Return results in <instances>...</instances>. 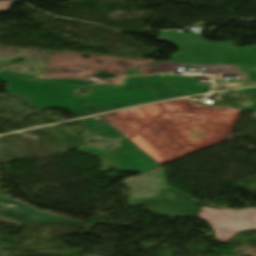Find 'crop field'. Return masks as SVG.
<instances>
[{
	"label": "crop field",
	"instance_id": "obj_1",
	"mask_svg": "<svg viewBox=\"0 0 256 256\" xmlns=\"http://www.w3.org/2000/svg\"><path fill=\"white\" fill-rule=\"evenodd\" d=\"M0 79L9 84L6 91L27 96L35 110L66 107L77 117L156 100L150 89L123 93L96 90L89 97H81L76 95L81 89L77 87L31 82L2 73Z\"/></svg>",
	"mask_w": 256,
	"mask_h": 256
},
{
	"label": "crop field",
	"instance_id": "obj_14",
	"mask_svg": "<svg viewBox=\"0 0 256 256\" xmlns=\"http://www.w3.org/2000/svg\"><path fill=\"white\" fill-rule=\"evenodd\" d=\"M248 92H256V88L240 90V93H242V94H245V93H248ZM250 100L253 103V105L251 107H249V108H246V109H244L242 111H239V113L249 112V111H256V99L250 97Z\"/></svg>",
	"mask_w": 256,
	"mask_h": 256
},
{
	"label": "crop field",
	"instance_id": "obj_9",
	"mask_svg": "<svg viewBox=\"0 0 256 256\" xmlns=\"http://www.w3.org/2000/svg\"><path fill=\"white\" fill-rule=\"evenodd\" d=\"M3 73H7L10 75H14L21 78H26L34 81H41V82H50V83H60V84H68L74 86H81V87H88L94 89H102V90H109V91H122V90H131V89H140V88H147L146 84L142 80V78L134 79L128 86L122 88H114L106 83L102 84H94V85H87L85 82L81 80H40L37 78H33L27 75L17 74L9 71H1Z\"/></svg>",
	"mask_w": 256,
	"mask_h": 256
},
{
	"label": "crop field",
	"instance_id": "obj_11",
	"mask_svg": "<svg viewBox=\"0 0 256 256\" xmlns=\"http://www.w3.org/2000/svg\"><path fill=\"white\" fill-rule=\"evenodd\" d=\"M256 85V70L239 76L236 83L216 82L212 89H231L244 86Z\"/></svg>",
	"mask_w": 256,
	"mask_h": 256
},
{
	"label": "crop field",
	"instance_id": "obj_10",
	"mask_svg": "<svg viewBox=\"0 0 256 256\" xmlns=\"http://www.w3.org/2000/svg\"><path fill=\"white\" fill-rule=\"evenodd\" d=\"M219 63L256 66V46L225 51Z\"/></svg>",
	"mask_w": 256,
	"mask_h": 256
},
{
	"label": "crop field",
	"instance_id": "obj_3",
	"mask_svg": "<svg viewBox=\"0 0 256 256\" xmlns=\"http://www.w3.org/2000/svg\"><path fill=\"white\" fill-rule=\"evenodd\" d=\"M198 217L206 220L212 226L217 240L222 242H228L238 233L256 229L255 208L232 211L202 207Z\"/></svg>",
	"mask_w": 256,
	"mask_h": 256
},
{
	"label": "crop field",
	"instance_id": "obj_13",
	"mask_svg": "<svg viewBox=\"0 0 256 256\" xmlns=\"http://www.w3.org/2000/svg\"><path fill=\"white\" fill-rule=\"evenodd\" d=\"M138 77H140V76H137V77H121V78L110 80L106 83H108V84H110L114 87H121V86L128 85L134 78H138Z\"/></svg>",
	"mask_w": 256,
	"mask_h": 256
},
{
	"label": "crop field",
	"instance_id": "obj_2",
	"mask_svg": "<svg viewBox=\"0 0 256 256\" xmlns=\"http://www.w3.org/2000/svg\"><path fill=\"white\" fill-rule=\"evenodd\" d=\"M177 45L180 51L171 61L212 64L218 63L224 50L231 49L233 42L209 43L197 34L161 32L158 39Z\"/></svg>",
	"mask_w": 256,
	"mask_h": 256
},
{
	"label": "crop field",
	"instance_id": "obj_6",
	"mask_svg": "<svg viewBox=\"0 0 256 256\" xmlns=\"http://www.w3.org/2000/svg\"><path fill=\"white\" fill-rule=\"evenodd\" d=\"M0 215L26 224L80 223L82 221L62 217L34 209L0 194Z\"/></svg>",
	"mask_w": 256,
	"mask_h": 256
},
{
	"label": "crop field",
	"instance_id": "obj_5",
	"mask_svg": "<svg viewBox=\"0 0 256 256\" xmlns=\"http://www.w3.org/2000/svg\"><path fill=\"white\" fill-rule=\"evenodd\" d=\"M144 78L158 100L201 93L211 87L210 84H197V79L192 77L151 75Z\"/></svg>",
	"mask_w": 256,
	"mask_h": 256
},
{
	"label": "crop field",
	"instance_id": "obj_16",
	"mask_svg": "<svg viewBox=\"0 0 256 256\" xmlns=\"http://www.w3.org/2000/svg\"><path fill=\"white\" fill-rule=\"evenodd\" d=\"M127 75H136L138 74L137 71L135 69L133 70H129L128 72H126Z\"/></svg>",
	"mask_w": 256,
	"mask_h": 256
},
{
	"label": "crop field",
	"instance_id": "obj_7",
	"mask_svg": "<svg viewBox=\"0 0 256 256\" xmlns=\"http://www.w3.org/2000/svg\"><path fill=\"white\" fill-rule=\"evenodd\" d=\"M169 193L174 197H166ZM129 202L131 206L201 208V203L175 189H160L154 199H129Z\"/></svg>",
	"mask_w": 256,
	"mask_h": 256
},
{
	"label": "crop field",
	"instance_id": "obj_15",
	"mask_svg": "<svg viewBox=\"0 0 256 256\" xmlns=\"http://www.w3.org/2000/svg\"><path fill=\"white\" fill-rule=\"evenodd\" d=\"M12 2L14 1H0V11H7Z\"/></svg>",
	"mask_w": 256,
	"mask_h": 256
},
{
	"label": "crop field",
	"instance_id": "obj_12",
	"mask_svg": "<svg viewBox=\"0 0 256 256\" xmlns=\"http://www.w3.org/2000/svg\"><path fill=\"white\" fill-rule=\"evenodd\" d=\"M148 210L152 214L177 215V216H185V217H197L200 211V209L161 208V207H148Z\"/></svg>",
	"mask_w": 256,
	"mask_h": 256
},
{
	"label": "crop field",
	"instance_id": "obj_8",
	"mask_svg": "<svg viewBox=\"0 0 256 256\" xmlns=\"http://www.w3.org/2000/svg\"><path fill=\"white\" fill-rule=\"evenodd\" d=\"M189 64L175 63V62H166V63H157L153 66H144L139 68L141 74L154 73L157 71H171L175 67H183ZM200 66V65H193ZM204 67V70L217 72V70L223 71V75H238L245 70H249L256 67H245V66H227V65H216V66H201Z\"/></svg>",
	"mask_w": 256,
	"mask_h": 256
},
{
	"label": "crop field",
	"instance_id": "obj_4",
	"mask_svg": "<svg viewBox=\"0 0 256 256\" xmlns=\"http://www.w3.org/2000/svg\"><path fill=\"white\" fill-rule=\"evenodd\" d=\"M120 143L122 145L120 151H104L89 148L86 146H84L82 150L99 155L115 169H126L144 172L146 170L159 166V164L153 161L149 156H147L141 149H139L127 138L120 141Z\"/></svg>",
	"mask_w": 256,
	"mask_h": 256
}]
</instances>
